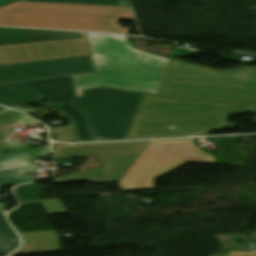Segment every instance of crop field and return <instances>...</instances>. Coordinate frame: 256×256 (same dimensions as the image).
Wrapping results in <instances>:
<instances>
[{
    "label": "crop field",
    "mask_w": 256,
    "mask_h": 256,
    "mask_svg": "<svg viewBox=\"0 0 256 256\" xmlns=\"http://www.w3.org/2000/svg\"><path fill=\"white\" fill-rule=\"evenodd\" d=\"M238 110L256 113V104L144 94L126 139L207 136L213 130L234 129L226 118Z\"/></svg>",
    "instance_id": "8a807250"
},
{
    "label": "crop field",
    "mask_w": 256,
    "mask_h": 256,
    "mask_svg": "<svg viewBox=\"0 0 256 256\" xmlns=\"http://www.w3.org/2000/svg\"><path fill=\"white\" fill-rule=\"evenodd\" d=\"M87 36L98 73L72 76L78 97L95 87L158 93L169 59L133 49L126 36Z\"/></svg>",
    "instance_id": "ac0d7876"
},
{
    "label": "crop field",
    "mask_w": 256,
    "mask_h": 256,
    "mask_svg": "<svg viewBox=\"0 0 256 256\" xmlns=\"http://www.w3.org/2000/svg\"><path fill=\"white\" fill-rule=\"evenodd\" d=\"M117 20L134 21L130 8L15 2L0 9V25L129 34Z\"/></svg>",
    "instance_id": "34b2d1b8"
},
{
    "label": "crop field",
    "mask_w": 256,
    "mask_h": 256,
    "mask_svg": "<svg viewBox=\"0 0 256 256\" xmlns=\"http://www.w3.org/2000/svg\"><path fill=\"white\" fill-rule=\"evenodd\" d=\"M158 94L227 102L256 101V69H241L238 75L227 77L170 59Z\"/></svg>",
    "instance_id": "412701ff"
},
{
    "label": "crop field",
    "mask_w": 256,
    "mask_h": 256,
    "mask_svg": "<svg viewBox=\"0 0 256 256\" xmlns=\"http://www.w3.org/2000/svg\"><path fill=\"white\" fill-rule=\"evenodd\" d=\"M142 95L92 89L73 103L88 117L95 141L124 140Z\"/></svg>",
    "instance_id": "f4fd0767"
},
{
    "label": "crop field",
    "mask_w": 256,
    "mask_h": 256,
    "mask_svg": "<svg viewBox=\"0 0 256 256\" xmlns=\"http://www.w3.org/2000/svg\"><path fill=\"white\" fill-rule=\"evenodd\" d=\"M149 141L55 146V159L97 156L104 167L57 178V183L88 180L97 184L120 181Z\"/></svg>",
    "instance_id": "dd49c442"
},
{
    "label": "crop field",
    "mask_w": 256,
    "mask_h": 256,
    "mask_svg": "<svg viewBox=\"0 0 256 256\" xmlns=\"http://www.w3.org/2000/svg\"><path fill=\"white\" fill-rule=\"evenodd\" d=\"M97 72L91 56L0 66V85Z\"/></svg>",
    "instance_id": "e52e79f7"
},
{
    "label": "crop field",
    "mask_w": 256,
    "mask_h": 256,
    "mask_svg": "<svg viewBox=\"0 0 256 256\" xmlns=\"http://www.w3.org/2000/svg\"><path fill=\"white\" fill-rule=\"evenodd\" d=\"M26 84L54 106L58 105L57 108L71 118L79 142L94 141L87 117L72 102L59 105L77 98L71 76Z\"/></svg>",
    "instance_id": "d8731c3e"
},
{
    "label": "crop field",
    "mask_w": 256,
    "mask_h": 256,
    "mask_svg": "<svg viewBox=\"0 0 256 256\" xmlns=\"http://www.w3.org/2000/svg\"><path fill=\"white\" fill-rule=\"evenodd\" d=\"M90 55L87 39L0 46V64Z\"/></svg>",
    "instance_id": "5a996713"
},
{
    "label": "crop field",
    "mask_w": 256,
    "mask_h": 256,
    "mask_svg": "<svg viewBox=\"0 0 256 256\" xmlns=\"http://www.w3.org/2000/svg\"><path fill=\"white\" fill-rule=\"evenodd\" d=\"M49 154V146L0 154V187L38 180L30 175L37 171L29 160Z\"/></svg>",
    "instance_id": "3316defc"
},
{
    "label": "crop field",
    "mask_w": 256,
    "mask_h": 256,
    "mask_svg": "<svg viewBox=\"0 0 256 256\" xmlns=\"http://www.w3.org/2000/svg\"><path fill=\"white\" fill-rule=\"evenodd\" d=\"M85 38L83 33L0 27V45Z\"/></svg>",
    "instance_id": "28ad6ade"
},
{
    "label": "crop field",
    "mask_w": 256,
    "mask_h": 256,
    "mask_svg": "<svg viewBox=\"0 0 256 256\" xmlns=\"http://www.w3.org/2000/svg\"><path fill=\"white\" fill-rule=\"evenodd\" d=\"M23 246L14 254H30L61 250L60 239L55 230L23 233Z\"/></svg>",
    "instance_id": "d1516ede"
},
{
    "label": "crop field",
    "mask_w": 256,
    "mask_h": 256,
    "mask_svg": "<svg viewBox=\"0 0 256 256\" xmlns=\"http://www.w3.org/2000/svg\"><path fill=\"white\" fill-rule=\"evenodd\" d=\"M40 97L25 83L0 86V104L9 107Z\"/></svg>",
    "instance_id": "22f410ed"
},
{
    "label": "crop field",
    "mask_w": 256,
    "mask_h": 256,
    "mask_svg": "<svg viewBox=\"0 0 256 256\" xmlns=\"http://www.w3.org/2000/svg\"><path fill=\"white\" fill-rule=\"evenodd\" d=\"M19 245L16 233L4 219V213H0V255H9Z\"/></svg>",
    "instance_id": "cbeb9de0"
},
{
    "label": "crop field",
    "mask_w": 256,
    "mask_h": 256,
    "mask_svg": "<svg viewBox=\"0 0 256 256\" xmlns=\"http://www.w3.org/2000/svg\"><path fill=\"white\" fill-rule=\"evenodd\" d=\"M20 1L127 6L125 0H20Z\"/></svg>",
    "instance_id": "5142ce71"
},
{
    "label": "crop field",
    "mask_w": 256,
    "mask_h": 256,
    "mask_svg": "<svg viewBox=\"0 0 256 256\" xmlns=\"http://www.w3.org/2000/svg\"><path fill=\"white\" fill-rule=\"evenodd\" d=\"M34 203H42L48 215L68 213L60 199L24 201L21 205Z\"/></svg>",
    "instance_id": "d9b57169"
},
{
    "label": "crop field",
    "mask_w": 256,
    "mask_h": 256,
    "mask_svg": "<svg viewBox=\"0 0 256 256\" xmlns=\"http://www.w3.org/2000/svg\"><path fill=\"white\" fill-rule=\"evenodd\" d=\"M51 134L56 136L54 141L78 142L71 125L49 129Z\"/></svg>",
    "instance_id": "733c2abd"
},
{
    "label": "crop field",
    "mask_w": 256,
    "mask_h": 256,
    "mask_svg": "<svg viewBox=\"0 0 256 256\" xmlns=\"http://www.w3.org/2000/svg\"><path fill=\"white\" fill-rule=\"evenodd\" d=\"M225 256H256V250L251 252L230 251Z\"/></svg>",
    "instance_id": "4a817a6b"
},
{
    "label": "crop field",
    "mask_w": 256,
    "mask_h": 256,
    "mask_svg": "<svg viewBox=\"0 0 256 256\" xmlns=\"http://www.w3.org/2000/svg\"><path fill=\"white\" fill-rule=\"evenodd\" d=\"M241 69V68H237L235 70H232V71H227V72H220L218 71L219 74H222V75H228V76H233L235 74H238V70Z\"/></svg>",
    "instance_id": "bc2a9ffb"
},
{
    "label": "crop field",
    "mask_w": 256,
    "mask_h": 256,
    "mask_svg": "<svg viewBox=\"0 0 256 256\" xmlns=\"http://www.w3.org/2000/svg\"><path fill=\"white\" fill-rule=\"evenodd\" d=\"M12 1H15V0H0V6H3V5H5L7 3H10Z\"/></svg>",
    "instance_id": "214f88e0"
},
{
    "label": "crop field",
    "mask_w": 256,
    "mask_h": 256,
    "mask_svg": "<svg viewBox=\"0 0 256 256\" xmlns=\"http://www.w3.org/2000/svg\"><path fill=\"white\" fill-rule=\"evenodd\" d=\"M5 203L0 204V211H4Z\"/></svg>",
    "instance_id": "92a150f3"
},
{
    "label": "crop field",
    "mask_w": 256,
    "mask_h": 256,
    "mask_svg": "<svg viewBox=\"0 0 256 256\" xmlns=\"http://www.w3.org/2000/svg\"><path fill=\"white\" fill-rule=\"evenodd\" d=\"M240 113H249V111H238L236 114H240Z\"/></svg>",
    "instance_id": "dafd665d"
},
{
    "label": "crop field",
    "mask_w": 256,
    "mask_h": 256,
    "mask_svg": "<svg viewBox=\"0 0 256 256\" xmlns=\"http://www.w3.org/2000/svg\"><path fill=\"white\" fill-rule=\"evenodd\" d=\"M3 109H7V108H4V107H0V110H3Z\"/></svg>",
    "instance_id": "00972430"
},
{
    "label": "crop field",
    "mask_w": 256,
    "mask_h": 256,
    "mask_svg": "<svg viewBox=\"0 0 256 256\" xmlns=\"http://www.w3.org/2000/svg\"><path fill=\"white\" fill-rule=\"evenodd\" d=\"M57 145H65V144H57Z\"/></svg>",
    "instance_id": "a9b5d70f"
},
{
    "label": "crop field",
    "mask_w": 256,
    "mask_h": 256,
    "mask_svg": "<svg viewBox=\"0 0 256 256\" xmlns=\"http://www.w3.org/2000/svg\"><path fill=\"white\" fill-rule=\"evenodd\" d=\"M31 125V124H30Z\"/></svg>",
    "instance_id": "4177f3b9"
}]
</instances>
